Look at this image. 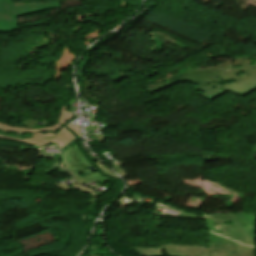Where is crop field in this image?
Listing matches in <instances>:
<instances>
[{
  "mask_svg": "<svg viewBox=\"0 0 256 256\" xmlns=\"http://www.w3.org/2000/svg\"><path fill=\"white\" fill-rule=\"evenodd\" d=\"M72 118L73 114L67 112V106H63L57 123L48 128L28 129L0 123V138L33 144L38 148L45 147L51 143L62 147L76 139V137L81 136L79 125H65Z\"/></svg>",
  "mask_w": 256,
  "mask_h": 256,
  "instance_id": "obj_2",
  "label": "crop field"
},
{
  "mask_svg": "<svg viewBox=\"0 0 256 256\" xmlns=\"http://www.w3.org/2000/svg\"><path fill=\"white\" fill-rule=\"evenodd\" d=\"M180 82H192V92L209 101L226 92L243 97L256 90V61L238 58L216 66L185 69L176 77L147 91L152 94Z\"/></svg>",
  "mask_w": 256,
  "mask_h": 256,
  "instance_id": "obj_1",
  "label": "crop field"
},
{
  "mask_svg": "<svg viewBox=\"0 0 256 256\" xmlns=\"http://www.w3.org/2000/svg\"><path fill=\"white\" fill-rule=\"evenodd\" d=\"M133 250L143 256H164L163 247H133L130 246Z\"/></svg>",
  "mask_w": 256,
  "mask_h": 256,
  "instance_id": "obj_6",
  "label": "crop field"
},
{
  "mask_svg": "<svg viewBox=\"0 0 256 256\" xmlns=\"http://www.w3.org/2000/svg\"><path fill=\"white\" fill-rule=\"evenodd\" d=\"M62 164L61 167L69 170L75 177L76 182L80 184H85L89 181H95L98 184H103L110 179H118L116 175L110 172L109 169L105 168L100 162H94L97 167L101 170L100 172L90 174L87 176L79 177L78 173L83 172L84 169L89 164L85 156L80 152L78 143L68 150L61 153Z\"/></svg>",
  "mask_w": 256,
  "mask_h": 256,
  "instance_id": "obj_3",
  "label": "crop field"
},
{
  "mask_svg": "<svg viewBox=\"0 0 256 256\" xmlns=\"http://www.w3.org/2000/svg\"><path fill=\"white\" fill-rule=\"evenodd\" d=\"M57 187H60L63 191L71 190V189H77V190L81 191L82 193L85 192V193L89 194L90 196H95V192L94 191H92L90 189H87V188H85V187H83L81 185L75 184V183L70 185V186H68V185L65 186V185L61 184V185H59Z\"/></svg>",
  "mask_w": 256,
  "mask_h": 256,
  "instance_id": "obj_7",
  "label": "crop field"
},
{
  "mask_svg": "<svg viewBox=\"0 0 256 256\" xmlns=\"http://www.w3.org/2000/svg\"><path fill=\"white\" fill-rule=\"evenodd\" d=\"M59 1L13 6L12 0H0V33H11L18 29L16 17L31 13L59 9Z\"/></svg>",
  "mask_w": 256,
  "mask_h": 256,
  "instance_id": "obj_4",
  "label": "crop field"
},
{
  "mask_svg": "<svg viewBox=\"0 0 256 256\" xmlns=\"http://www.w3.org/2000/svg\"><path fill=\"white\" fill-rule=\"evenodd\" d=\"M59 161L60 159H56L53 161L51 167L47 170H44L43 173H46V174H51L52 172H59V173H64V174H68V172L64 171L63 169H61L59 167Z\"/></svg>",
  "mask_w": 256,
  "mask_h": 256,
  "instance_id": "obj_8",
  "label": "crop field"
},
{
  "mask_svg": "<svg viewBox=\"0 0 256 256\" xmlns=\"http://www.w3.org/2000/svg\"><path fill=\"white\" fill-rule=\"evenodd\" d=\"M169 256H208L207 246L164 245Z\"/></svg>",
  "mask_w": 256,
  "mask_h": 256,
  "instance_id": "obj_5",
  "label": "crop field"
}]
</instances>
